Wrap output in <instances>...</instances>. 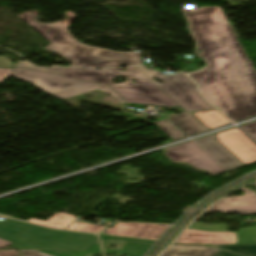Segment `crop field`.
Wrapping results in <instances>:
<instances>
[{
  "mask_svg": "<svg viewBox=\"0 0 256 256\" xmlns=\"http://www.w3.org/2000/svg\"><path fill=\"white\" fill-rule=\"evenodd\" d=\"M0 67L2 68L14 67V64L5 56H0Z\"/></svg>",
  "mask_w": 256,
  "mask_h": 256,
  "instance_id": "eef30255",
  "label": "crop field"
},
{
  "mask_svg": "<svg viewBox=\"0 0 256 256\" xmlns=\"http://www.w3.org/2000/svg\"><path fill=\"white\" fill-rule=\"evenodd\" d=\"M197 116L205 125L210 129L219 127L225 124L231 123L221 112L218 110L205 111V112H196L193 113ZM206 126V127H207ZM207 127V128H208Z\"/></svg>",
  "mask_w": 256,
  "mask_h": 256,
  "instance_id": "d9b57169",
  "label": "crop field"
},
{
  "mask_svg": "<svg viewBox=\"0 0 256 256\" xmlns=\"http://www.w3.org/2000/svg\"><path fill=\"white\" fill-rule=\"evenodd\" d=\"M166 150V155L171 157L170 160L174 163L184 162L213 175L225 172L193 141Z\"/></svg>",
  "mask_w": 256,
  "mask_h": 256,
  "instance_id": "e52e79f7",
  "label": "crop field"
},
{
  "mask_svg": "<svg viewBox=\"0 0 256 256\" xmlns=\"http://www.w3.org/2000/svg\"><path fill=\"white\" fill-rule=\"evenodd\" d=\"M0 238L21 249H85L98 241L96 235L50 230L15 220L0 223Z\"/></svg>",
  "mask_w": 256,
  "mask_h": 256,
  "instance_id": "412701ff",
  "label": "crop field"
},
{
  "mask_svg": "<svg viewBox=\"0 0 256 256\" xmlns=\"http://www.w3.org/2000/svg\"><path fill=\"white\" fill-rule=\"evenodd\" d=\"M10 244H12V242L7 241V240L0 239V248H1V247H4V246H8V245H10Z\"/></svg>",
  "mask_w": 256,
  "mask_h": 256,
  "instance_id": "bd1437ed",
  "label": "crop field"
},
{
  "mask_svg": "<svg viewBox=\"0 0 256 256\" xmlns=\"http://www.w3.org/2000/svg\"><path fill=\"white\" fill-rule=\"evenodd\" d=\"M15 66L36 69V70H41V71H47V72H53V73H59V74H62L67 69L66 67H55V66L39 67V66L33 65L31 63L25 62V61H20V62L16 63Z\"/></svg>",
  "mask_w": 256,
  "mask_h": 256,
  "instance_id": "00972430",
  "label": "crop field"
},
{
  "mask_svg": "<svg viewBox=\"0 0 256 256\" xmlns=\"http://www.w3.org/2000/svg\"><path fill=\"white\" fill-rule=\"evenodd\" d=\"M209 65L189 75L233 121L256 115V71L220 8L185 13ZM202 25V28L199 27ZM212 70V72H209Z\"/></svg>",
  "mask_w": 256,
  "mask_h": 256,
  "instance_id": "8a807250",
  "label": "crop field"
},
{
  "mask_svg": "<svg viewBox=\"0 0 256 256\" xmlns=\"http://www.w3.org/2000/svg\"><path fill=\"white\" fill-rule=\"evenodd\" d=\"M239 190L244 192L243 196L225 197L204 213L220 211L222 213L237 212L241 215L256 214V193L244 187Z\"/></svg>",
  "mask_w": 256,
  "mask_h": 256,
  "instance_id": "3316defc",
  "label": "crop field"
},
{
  "mask_svg": "<svg viewBox=\"0 0 256 256\" xmlns=\"http://www.w3.org/2000/svg\"><path fill=\"white\" fill-rule=\"evenodd\" d=\"M238 244L256 243V227L239 228L237 232Z\"/></svg>",
  "mask_w": 256,
  "mask_h": 256,
  "instance_id": "214f88e0",
  "label": "crop field"
},
{
  "mask_svg": "<svg viewBox=\"0 0 256 256\" xmlns=\"http://www.w3.org/2000/svg\"><path fill=\"white\" fill-rule=\"evenodd\" d=\"M189 229L201 230V231H222V232L228 231L223 224L211 225V224H205V223H199V222H195L193 225L189 227Z\"/></svg>",
  "mask_w": 256,
  "mask_h": 256,
  "instance_id": "a9b5d70f",
  "label": "crop field"
},
{
  "mask_svg": "<svg viewBox=\"0 0 256 256\" xmlns=\"http://www.w3.org/2000/svg\"><path fill=\"white\" fill-rule=\"evenodd\" d=\"M152 245L125 242L121 250H104L105 254L119 253L128 256H142Z\"/></svg>",
  "mask_w": 256,
  "mask_h": 256,
  "instance_id": "733c2abd",
  "label": "crop field"
},
{
  "mask_svg": "<svg viewBox=\"0 0 256 256\" xmlns=\"http://www.w3.org/2000/svg\"><path fill=\"white\" fill-rule=\"evenodd\" d=\"M101 240H107V239H122V240H130V241H139V242H149V243H154L151 241H143V240H135V239H127V238H119V237H111V236H103V235H99Z\"/></svg>",
  "mask_w": 256,
  "mask_h": 256,
  "instance_id": "ae1a2a85",
  "label": "crop field"
},
{
  "mask_svg": "<svg viewBox=\"0 0 256 256\" xmlns=\"http://www.w3.org/2000/svg\"><path fill=\"white\" fill-rule=\"evenodd\" d=\"M104 227L105 226H102V225H90V224L73 222L66 229L78 230V231L89 232V233H99Z\"/></svg>",
  "mask_w": 256,
  "mask_h": 256,
  "instance_id": "dafd665d",
  "label": "crop field"
},
{
  "mask_svg": "<svg viewBox=\"0 0 256 256\" xmlns=\"http://www.w3.org/2000/svg\"><path fill=\"white\" fill-rule=\"evenodd\" d=\"M39 12L30 11L18 15L37 33L50 42L45 49L55 51L66 57L73 63L71 66L77 67H112L125 64L135 66L141 64L139 53L115 52L106 49L93 48L83 45L73 39L68 33L67 28L76 17L70 11L65 13L69 18L58 23L45 24L35 21Z\"/></svg>",
  "mask_w": 256,
  "mask_h": 256,
  "instance_id": "ac0d7876",
  "label": "crop field"
},
{
  "mask_svg": "<svg viewBox=\"0 0 256 256\" xmlns=\"http://www.w3.org/2000/svg\"><path fill=\"white\" fill-rule=\"evenodd\" d=\"M51 256H85L87 254H102L99 244L89 247L87 251H38Z\"/></svg>",
  "mask_w": 256,
  "mask_h": 256,
  "instance_id": "4a817a6b",
  "label": "crop field"
},
{
  "mask_svg": "<svg viewBox=\"0 0 256 256\" xmlns=\"http://www.w3.org/2000/svg\"><path fill=\"white\" fill-rule=\"evenodd\" d=\"M255 141H256V121L250 124L241 126Z\"/></svg>",
  "mask_w": 256,
  "mask_h": 256,
  "instance_id": "4177f3b9",
  "label": "crop field"
},
{
  "mask_svg": "<svg viewBox=\"0 0 256 256\" xmlns=\"http://www.w3.org/2000/svg\"><path fill=\"white\" fill-rule=\"evenodd\" d=\"M13 77L32 83L38 86L42 91L52 95L60 100L88 92L92 89H101L111 94L119 103H124L109 87L106 85L83 82L78 80L61 78L59 75L15 68Z\"/></svg>",
  "mask_w": 256,
  "mask_h": 256,
  "instance_id": "f4fd0767",
  "label": "crop field"
},
{
  "mask_svg": "<svg viewBox=\"0 0 256 256\" xmlns=\"http://www.w3.org/2000/svg\"><path fill=\"white\" fill-rule=\"evenodd\" d=\"M161 256H237L205 246L172 245Z\"/></svg>",
  "mask_w": 256,
  "mask_h": 256,
  "instance_id": "22f410ed",
  "label": "crop field"
},
{
  "mask_svg": "<svg viewBox=\"0 0 256 256\" xmlns=\"http://www.w3.org/2000/svg\"><path fill=\"white\" fill-rule=\"evenodd\" d=\"M62 75L70 78L108 84L127 103L177 106L175 102L163 93L137 67L127 68L125 72H121L117 69L91 70L68 68ZM119 75L128 78L127 81L120 84H111L112 78ZM130 79H134L136 83H132Z\"/></svg>",
  "mask_w": 256,
  "mask_h": 256,
  "instance_id": "34b2d1b8",
  "label": "crop field"
},
{
  "mask_svg": "<svg viewBox=\"0 0 256 256\" xmlns=\"http://www.w3.org/2000/svg\"><path fill=\"white\" fill-rule=\"evenodd\" d=\"M169 117H171L169 120L188 136L208 130L191 113H181Z\"/></svg>",
  "mask_w": 256,
  "mask_h": 256,
  "instance_id": "cbeb9de0",
  "label": "crop field"
},
{
  "mask_svg": "<svg viewBox=\"0 0 256 256\" xmlns=\"http://www.w3.org/2000/svg\"><path fill=\"white\" fill-rule=\"evenodd\" d=\"M217 140L244 165L256 162V145L238 128L216 133Z\"/></svg>",
  "mask_w": 256,
  "mask_h": 256,
  "instance_id": "d8731c3e",
  "label": "crop field"
},
{
  "mask_svg": "<svg viewBox=\"0 0 256 256\" xmlns=\"http://www.w3.org/2000/svg\"><path fill=\"white\" fill-rule=\"evenodd\" d=\"M174 243L237 244L235 232H201L186 230Z\"/></svg>",
  "mask_w": 256,
  "mask_h": 256,
  "instance_id": "d1516ede",
  "label": "crop field"
},
{
  "mask_svg": "<svg viewBox=\"0 0 256 256\" xmlns=\"http://www.w3.org/2000/svg\"><path fill=\"white\" fill-rule=\"evenodd\" d=\"M138 68L185 111L214 108L201 98L195 85L182 73L159 75L160 72L149 71L145 66ZM153 78L161 79L164 83L160 84L154 81Z\"/></svg>",
  "mask_w": 256,
  "mask_h": 256,
  "instance_id": "dd49c442",
  "label": "crop field"
},
{
  "mask_svg": "<svg viewBox=\"0 0 256 256\" xmlns=\"http://www.w3.org/2000/svg\"><path fill=\"white\" fill-rule=\"evenodd\" d=\"M256 178V177H255Z\"/></svg>",
  "mask_w": 256,
  "mask_h": 256,
  "instance_id": "1d83c4d3",
  "label": "crop field"
},
{
  "mask_svg": "<svg viewBox=\"0 0 256 256\" xmlns=\"http://www.w3.org/2000/svg\"><path fill=\"white\" fill-rule=\"evenodd\" d=\"M13 69H0V83H3L12 73Z\"/></svg>",
  "mask_w": 256,
  "mask_h": 256,
  "instance_id": "730fd06b",
  "label": "crop field"
},
{
  "mask_svg": "<svg viewBox=\"0 0 256 256\" xmlns=\"http://www.w3.org/2000/svg\"><path fill=\"white\" fill-rule=\"evenodd\" d=\"M23 254L21 256H48L45 254L38 253L36 251H21Z\"/></svg>",
  "mask_w": 256,
  "mask_h": 256,
  "instance_id": "d3111659",
  "label": "crop field"
},
{
  "mask_svg": "<svg viewBox=\"0 0 256 256\" xmlns=\"http://www.w3.org/2000/svg\"><path fill=\"white\" fill-rule=\"evenodd\" d=\"M166 135L175 140L185 137L176 127H174L167 119L154 122Z\"/></svg>",
  "mask_w": 256,
  "mask_h": 256,
  "instance_id": "bc2a9ffb",
  "label": "crop field"
},
{
  "mask_svg": "<svg viewBox=\"0 0 256 256\" xmlns=\"http://www.w3.org/2000/svg\"><path fill=\"white\" fill-rule=\"evenodd\" d=\"M245 256H256V245L249 246H214Z\"/></svg>",
  "mask_w": 256,
  "mask_h": 256,
  "instance_id": "92a150f3",
  "label": "crop field"
},
{
  "mask_svg": "<svg viewBox=\"0 0 256 256\" xmlns=\"http://www.w3.org/2000/svg\"><path fill=\"white\" fill-rule=\"evenodd\" d=\"M171 225L168 224H154V223H117L114 228H108L104 234L143 238L157 240Z\"/></svg>",
  "mask_w": 256,
  "mask_h": 256,
  "instance_id": "5a996713",
  "label": "crop field"
},
{
  "mask_svg": "<svg viewBox=\"0 0 256 256\" xmlns=\"http://www.w3.org/2000/svg\"><path fill=\"white\" fill-rule=\"evenodd\" d=\"M216 136H208L194 142L202 148L225 171L242 166V164L229 153L221 144L214 140Z\"/></svg>",
  "mask_w": 256,
  "mask_h": 256,
  "instance_id": "28ad6ade",
  "label": "crop field"
},
{
  "mask_svg": "<svg viewBox=\"0 0 256 256\" xmlns=\"http://www.w3.org/2000/svg\"><path fill=\"white\" fill-rule=\"evenodd\" d=\"M76 219L78 218L67 213H57L53 215L48 221L31 219L28 222L36 223L51 228L65 229L69 224H71Z\"/></svg>",
  "mask_w": 256,
  "mask_h": 256,
  "instance_id": "5142ce71",
  "label": "crop field"
},
{
  "mask_svg": "<svg viewBox=\"0 0 256 256\" xmlns=\"http://www.w3.org/2000/svg\"><path fill=\"white\" fill-rule=\"evenodd\" d=\"M20 253L16 252L15 250L10 251H2L0 250V256H18Z\"/></svg>",
  "mask_w": 256,
  "mask_h": 256,
  "instance_id": "750c4746",
  "label": "crop field"
}]
</instances>
